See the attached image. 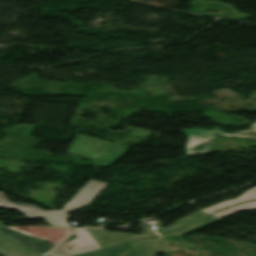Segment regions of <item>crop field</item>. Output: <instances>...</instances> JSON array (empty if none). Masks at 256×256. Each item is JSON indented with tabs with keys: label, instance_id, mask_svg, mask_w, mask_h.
Wrapping results in <instances>:
<instances>
[{
	"label": "crop field",
	"instance_id": "obj_10",
	"mask_svg": "<svg viewBox=\"0 0 256 256\" xmlns=\"http://www.w3.org/2000/svg\"><path fill=\"white\" fill-rule=\"evenodd\" d=\"M82 256H139L130 243Z\"/></svg>",
	"mask_w": 256,
	"mask_h": 256
},
{
	"label": "crop field",
	"instance_id": "obj_5",
	"mask_svg": "<svg viewBox=\"0 0 256 256\" xmlns=\"http://www.w3.org/2000/svg\"><path fill=\"white\" fill-rule=\"evenodd\" d=\"M87 230L102 248L127 242V241H131V240H135V239H139V238L158 236L155 233L133 235V234H125V233H110L102 229H87Z\"/></svg>",
	"mask_w": 256,
	"mask_h": 256
},
{
	"label": "crop field",
	"instance_id": "obj_1",
	"mask_svg": "<svg viewBox=\"0 0 256 256\" xmlns=\"http://www.w3.org/2000/svg\"><path fill=\"white\" fill-rule=\"evenodd\" d=\"M107 185V183L95 180L88 181L62 210L43 211L35 206L10 202L1 191L0 206L19 210L26 218L45 217L51 226L70 227L65 221L68 218L65 212H73L88 205Z\"/></svg>",
	"mask_w": 256,
	"mask_h": 256
},
{
	"label": "crop field",
	"instance_id": "obj_12",
	"mask_svg": "<svg viewBox=\"0 0 256 256\" xmlns=\"http://www.w3.org/2000/svg\"><path fill=\"white\" fill-rule=\"evenodd\" d=\"M199 211H200V210H199ZM197 212H198V211H197ZM207 216H209V215L206 214V213H204V212H202V211H200V212L195 213V214H193V215H191V216H188V217H186V218H183V219L174 221L175 226H173V227H163V228H161V229H159V230H156V232H158L160 235H162V234H164V233H167V232H169V231H172V230H174V229H177V228H179V227H182V226H184V225H187V224H189V223H192V222H194V221H197V220L202 219V218L207 217Z\"/></svg>",
	"mask_w": 256,
	"mask_h": 256
},
{
	"label": "crop field",
	"instance_id": "obj_9",
	"mask_svg": "<svg viewBox=\"0 0 256 256\" xmlns=\"http://www.w3.org/2000/svg\"><path fill=\"white\" fill-rule=\"evenodd\" d=\"M256 200V188H253L251 190L246 191L243 195L239 196L238 198L234 200H228L226 202L211 206L207 209H204L202 211L211 214L213 212L219 211L221 209L230 207L232 205L238 204L240 202H247V201H252Z\"/></svg>",
	"mask_w": 256,
	"mask_h": 256
},
{
	"label": "crop field",
	"instance_id": "obj_2",
	"mask_svg": "<svg viewBox=\"0 0 256 256\" xmlns=\"http://www.w3.org/2000/svg\"><path fill=\"white\" fill-rule=\"evenodd\" d=\"M125 149L127 148L77 134L68 153L93 159L94 166H108L126 154L127 152H121Z\"/></svg>",
	"mask_w": 256,
	"mask_h": 256
},
{
	"label": "crop field",
	"instance_id": "obj_13",
	"mask_svg": "<svg viewBox=\"0 0 256 256\" xmlns=\"http://www.w3.org/2000/svg\"><path fill=\"white\" fill-rule=\"evenodd\" d=\"M251 209H256V201L248 202V203H244V204H240V205L231 207L229 209H226L224 211L216 213L213 216L221 219L223 217H226V216L233 214L235 212H238L240 210H251Z\"/></svg>",
	"mask_w": 256,
	"mask_h": 256
},
{
	"label": "crop field",
	"instance_id": "obj_3",
	"mask_svg": "<svg viewBox=\"0 0 256 256\" xmlns=\"http://www.w3.org/2000/svg\"><path fill=\"white\" fill-rule=\"evenodd\" d=\"M182 132L186 136L190 137L187 140L186 146L188 156L202 155L211 152L215 141V136L250 138L256 140V122L251 125L250 130L239 131L232 134H225L216 129L211 132L198 129L182 130Z\"/></svg>",
	"mask_w": 256,
	"mask_h": 256
},
{
	"label": "crop field",
	"instance_id": "obj_6",
	"mask_svg": "<svg viewBox=\"0 0 256 256\" xmlns=\"http://www.w3.org/2000/svg\"><path fill=\"white\" fill-rule=\"evenodd\" d=\"M0 232L10 236L24 247L42 254H46L51 248L54 247L53 245L46 244V240L31 237L9 228H0Z\"/></svg>",
	"mask_w": 256,
	"mask_h": 256
},
{
	"label": "crop field",
	"instance_id": "obj_8",
	"mask_svg": "<svg viewBox=\"0 0 256 256\" xmlns=\"http://www.w3.org/2000/svg\"><path fill=\"white\" fill-rule=\"evenodd\" d=\"M141 256H155L162 252L160 237L157 239H146L132 243Z\"/></svg>",
	"mask_w": 256,
	"mask_h": 256
},
{
	"label": "crop field",
	"instance_id": "obj_11",
	"mask_svg": "<svg viewBox=\"0 0 256 256\" xmlns=\"http://www.w3.org/2000/svg\"><path fill=\"white\" fill-rule=\"evenodd\" d=\"M218 221H220V220H218V219H216V218L211 216V217H208V218L203 219L201 221H198V222H196V223H194L192 225H189V226H187L185 228H182L180 230H177V231H174L172 233H169V234H167V235H165L163 237L186 235V234L194 232V231H196L198 229H201L203 227H206V226L211 225V224H213L215 222H218Z\"/></svg>",
	"mask_w": 256,
	"mask_h": 256
},
{
	"label": "crop field",
	"instance_id": "obj_7",
	"mask_svg": "<svg viewBox=\"0 0 256 256\" xmlns=\"http://www.w3.org/2000/svg\"><path fill=\"white\" fill-rule=\"evenodd\" d=\"M0 253L7 256H42L22 248L13 240L0 234Z\"/></svg>",
	"mask_w": 256,
	"mask_h": 256
},
{
	"label": "crop field",
	"instance_id": "obj_4",
	"mask_svg": "<svg viewBox=\"0 0 256 256\" xmlns=\"http://www.w3.org/2000/svg\"><path fill=\"white\" fill-rule=\"evenodd\" d=\"M75 234L78 237L77 239L57 247L49 256H71L101 249L86 229L77 231ZM67 247H72L74 250H68Z\"/></svg>",
	"mask_w": 256,
	"mask_h": 256
}]
</instances>
